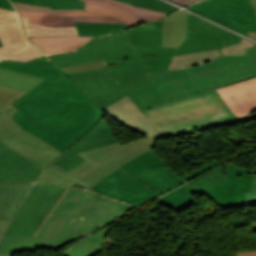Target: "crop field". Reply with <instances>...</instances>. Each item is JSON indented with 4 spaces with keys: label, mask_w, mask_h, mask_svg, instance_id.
<instances>
[{
    "label": "crop field",
    "mask_w": 256,
    "mask_h": 256,
    "mask_svg": "<svg viewBox=\"0 0 256 256\" xmlns=\"http://www.w3.org/2000/svg\"><path fill=\"white\" fill-rule=\"evenodd\" d=\"M0 68L45 78L12 105L15 122L64 152L102 118V111L47 57L0 61Z\"/></svg>",
    "instance_id": "8a807250"
},
{
    "label": "crop field",
    "mask_w": 256,
    "mask_h": 256,
    "mask_svg": "<svg viewBox=\"0 0 256 256\" xmlns=\"http://www.w3.org/2000/svg\"><path fill=\"white\" fill-rule=\"evenodd\" d=\"M183 183L185 181L149 150L119 167L91 189L138 206Z\"/></svg>",
    "instance_id": "ac0d7876"
},
{
    "label": "crop field",
    "mask_w": 256,
    "mask_h": 256,
    "mask_svg": "<svg viewBox=\"0 0 256 256\" xmlns=\"http://www.w3.org/2000/svg\"><path fill=\"white\" fill-rule=\"evenodd\" d=\"M144 114L165 137L225 125L235 117L216 90L145 111Z\"/></svg>",
    "instance_id": "34b2d1b8"
},
{
    "label": "crop field",
    "mask_w": 256,
    "mask_h": 256,
    "mask_svg": "<svg viewBox=\"0 0 256 256\" xmlns=\"http://www.w3.org/2000/svg\"><path fill=\"white\" fill-rule=\"evenodd\" d=\"M58 67L105 59L118 83L146 74L135 45L126 31L91 39L77 50L49 56Z\"/></svg>",
    "instance_id": "412701ff"
},
{
    "label": "crop field",
    "mask_w": 256,
    "mask_h": 256,
    "mask_svg": "<svg viewBox=\"0 0 256 256\" xmlns=\"http://www.w3.org/2000/svg\"><path fill=\"white\" fill-rule=\"evenodd\" d=\"M153 147L154 141L148 137L123 145L118 142L77 153L86 161L68 172L53 163L45 170L90 189L119 166Z\"/></svg>",
    "instance_id": "f4fd0767"
},
{
    "label": "crop field",
    "mask_w": 256,
    "mask_h": 256,
    "mask_svg": "<svg viewBox=\"0 0 256 256\" xmlns=\"http://www.w3.org/2000/svg\"><path fill=\"white\" fill-rule=\"evenodd\" d=\"M101 196L84 190L70 189L37 237L3 233L0 239V256H13V253L43 248Z\"/></svg>",
    "instance_id": "dd49c442"
},
{
    "label": "crop field",
    "mask_w": 256,
    "mask_h": 256,
    "mask_svg": "<svg viewBox=\"0 0 256 256\" xmlns=\"http://www.w3.org/2000/svg\"><path fill=\"white\" fill-rule=\"evenodd\" d=\"M181 73L196 94L256 77L247 55L222 56L213 63L182 70Z\"/></svg>",
    "instance_id": "e52e79f7"
},
{
    "label": "crop field",
    "mask_w": 256,
    "mask_h": 256,
    "mask_svg": "<svg viewBox=\"0 0 256 256\" xmlns=\"http://www.w3.org/2000/svg\"><path fill=\"white\" fill-rule=\"evenodd\" d=\"M66 75L75 82L87 98L101 109L152 83L146 74L118 85L109 67Z\"/></svg>",
    "instance_id": "d8731c3e"
},
{
    "label": "crop field",
    "mask_w": 256,
    "mask_h": 256,
    "mask_svg": "<svg viewBox=\"0 0 256 256\" xmlns=\"http://www.w3.org/2000/svg\"><path fill=\"white\" fill-rule=\"evenodd\" d=\"M64 189L34 183L5 232L32 236Z\"/></svg>",
    "instance_id": "5a996713"
},
{
    "label": "crop field",
    "mask_w": 256,
    "mask_h": 256,
    "mask_svg": "<svg viewBox=\"0 0 256 256\" xmlns=\"http://www.w3.org/2000/svg\"><path fill=\"white\" fill-rule=\"evenodd\" d=\"M133 208L135 207L103 196L55 239L47 244L45 248L55 250L65 244L73 242L93 232L98 227L127 213Z\"/></svg>",
    "instance_id": "3316defc"
},
{
    "label": "crop field",
    "mask_w": 256,
    "mask_h": 256,
    "mask_svg": "<svg viewBox=\"0 0 256 256\" xmlns=\"http://www.w3.org/2000/svg\"><path fill=\"white\" fill-rule=\"evenodd\" d=\"M16 111L17 108L0 113V140L41 168H46L61 152L21 130L12 119Z\"/></svg>",
    "instance_id": "28ad6ade"
},
{
    "label": "crop field",
    "mask_w": 256,
    "mask_h": 256,
    "mask_svg": "<svg viewBox=\"0 0 256 256\" xmlns=\"http://www.w3.org/2000/svg\"><path fill=\"white\" fill-rule=\"evenodd\" d=\"M186 9L246 36V31H256L255 8L249 0H205Z\"/></svg>",
    "instance_id": "d1516ede"
},
{
    "label": "crop field",
    "mask_w": 256,
    "mask_h": 256,
    "mask_svg": "<svg viewBox=\"0 0 256 256\" xmlns=\"http://www.w3.org/2000/svg\"><path fill=\"white\" fill-rule=\"evenodd\" d=\"M148 74L154 83L128 95L141 111L196 95L179 70Z\"/></svg>",
    "instance_id": "22f410ed"
},
{
    "label": "crop field",
    "mask_w": 256,
    "mask_h": 256,
    "mask_svg": "<svg viewBox=\"0 0 256 256\" xmlns=\"http://www.w3.org/2000/svg\"><path fill=\"white\" fill-rule=\"evenodd\" d=\"M0 59L30 60L44 56L23 31V24L16 12L0 9Z\"/></svg>",
    "instance_id": "cbeb9de0"
},
{
    "label": "crop field",
    "mask_w": 256,
    "mask_h": 256,
    "mask_svg": "<svg viewBox=\"0 0 256 256\" xmlns=\"http://www.w3.org/2000/svg\"><path fill=\"white\" fill-rule=\"evenodd\" d=\"M224 167L228 181L198 194L204 193L223 209L256 204V199L245 200L243 194L249 191L251 176L256 173V168L248 170L233 163H227Z\"/></svg>",
    "instance_id": "5142ce71"
},
{
    "label": "crop field",
    "mask_w": 256,
    "mask_h": 256,
    "mask_svg": "<svg viewBox=\"0 0 256 256\" xmlns=\"http://www.w3.org/2000/svg\"><path fill=\"white\" fill-rule=\"evenodd\" d=\"M136 46L147 72L167 70L173 55L215 49L220 50V48L224 47L221 37L187 38L177 50L170 47Z\"/></svg>",
    "instance_id": "d9b57169"
},
{
    "label": "crop field",
    "mask_w": 256,
    "mask_h": 256,
    "mask_svg": "<svg viewBox=\"0 0 256 256\" xmlns=\"http://www.w3.org/2000/svg\"><path fill=\"white\" fill-rule=\"evenodd\" d=\"M226 180V175L222 165L211 172L187 183L186 186H182L170 192L157 202L180 213L195 202L191 194L198 193Z\"/></svg>",
    "instance_id": "733c2abd"
},
{
    "label": "crop field",
    "mask_w": 256,
    "mask_h": 256,
    "mask_svg": "<svg viewBox=\"0 0 256 256\" xmlns=\"http://www.w3.org/2000/svg\"><path fill=\"white\" fill-rule=\"evenodd\" d=\"M118 140L110 130L105 118L96 124L74 145L68 148L59 159L55 162L56 165L65 170H70L81 162L85 161L76 153L90 148L117 142Z\"/></svg>",
    "instance_id": "4a817a6b"
},
{
    "label": "crop field",
    "mask_w": 256,
    "mask_h": 256,
    "mask_svg": "<svg viewBox=\"0 0 256 256\" xmlns=\"http://www.w3.org/2000/svg\"><path fill=\"white\" fill-rule=\"evenodd\" d=\"M85 9L110 14L124 22L128 27L155 20L167 14L160 11L133 7L115 0H84Z\"/></svg>",
    "instance_id": "bc2a9ffb"
},
{
    "label": "crop field",
    "mask_w": 256,
    "mask_h": 256,
    "mask_svg": "<svg viewBox=\"0 0 256 256\" xmlns=\"http://www.w3.org/2000/svg\"><path fill=\"white\" fill-rule=\"evenodd\" d=\"M42 170L0 141V181L33 182Z\"/></svg>",
    "instance_id": "214f88e0"
},
{
    "label": "crop field",
    "mask_w": 256,
    "mask_h": 256,
    "mask_svg": "<svg viewBox=\"0 0 256 256\" xmlns=\"http://www.w3.org/2000/svg\"><path fill=\"white\" fill-rule=\"evenodd\" d=\"M103 110H106L121 125L145 134L153 140L163 137L128 96Z\"/></svg>",
    "instance_id": "92a150f3"
},
{
    "label": "crop field",
    "mask_w": 256,
    "mask_h": 256,
    "mask_svg": "<svg viewBox=\"0 0 256 256\" xmlns=\"http://www.w3.org/2000/svg\"><path fill=\"white\" fill-rule=\"evenodd\" d=\"M20 17H29L30 22L52 27L75 26L74 21L95 23H122L116 18L90 11H74V13H45L18 11Z\"/></svg>",
    "instance_id": "dafd665d"
},
{
    "label": "crop field",
    "mask_w": 256,
    "mask_h": 256,
    "mask_svg": "<svg viewBox=\"0 0 256 256\" xmlns=\"http://www.w3.org/2000/svg\"><path fill=\"white\" fill-rule=\"evenodd\" d=\"M253 45L255 43L242 38L240 43L230 45L221 50L223 55H240L239 53L246 54L245 50ZM218 56H221L218 50L173 56L169 69L181 70L195 65L205 64L211 62L212 59Z\"/></svg>",
    "instance_id": "00972430"
},
{
    "label": "crop field",
    "mask_w": 256,
    "mask_h": 256,
    "mask_svg": "<svg viewBox=\"0 0 256 256\" xmlns=\"http://www.w3.org/2000/svg\"><path fill=\"white\" fill-rule=\"evenodd\" d=\"M30 186L31 184L0 183V219L10 220Z\"/></svg>",
    "instance_id": "a9b5d70f"
},
{
    "label": "crop field",
    "mask_w": 256,
    "mask_h": 256,
    "mask_svg": "<svg viewBox=\"0 0 256 256\" xmlns=\"http://www.w3.org/2000/svg\"><path fill=\"white\" fill-rule=\"evenodd\" d=\"M226 30V29H225ZM222 28L208 23L205 20L189 14L188 18V37L193 36H222L224 46L238 43L241 36L225 31Z\"/></svg>",
    "instance_id": "4177f3b9"
},
{
    "label": "crop field",
    "mask_w": 256,
    "mask_h": 256,
    "mask_svg": "<svg viewBox=\"0 0 256 256\" xmlns=\"http://www.w3.org/2000/svg\"><path fill=\"white\" fill-rule=\"evenodd\" d=\"M186 17L187 12L180 10L163 18V46L178 47L186 38Z\"/></svg>",
    "instance_id": "730fd06b"
},
{
    "label": "crop field",
    "mask_w": 256,
    "mask_h": 256,
    "mask_svg": "<svg viewBox=\"0 0 256 256\" xmlns=\"http://www.w3.org/2000/svg\"><path fill=\"white\" fill-rule=\"evenodd\" d=\"M126 31L131 44L162 46V18Z\"/></svg>",
    "instance_id": "eef30255"
},
{
    "label": "crop field",
    "mask_w": 256,
    "mask_h": 256,
    "mask_svg": "<svg viewBox=\"0 0 256 256\" xmlns=\"http://www.w3.org/2000/svg\"><path fill=\"white\" fill-rule=\"evenodd\" d=\"M119 222V221H118ZM116 222V223H118ZM113 223L89 237L77 242L70 249L61 253L64 256H94L103 251V239L107 232L116 224Z\"/></svg>",
    "instance_id": "ae1a2a85"
},
{
    "label": "crop field",
    "mask_w": 256,
    "mask_h": 256,
    "mask_svg": "<svg viewBox=\"0 0 256 256\" xmlns=\"http://www.w3.org/2000/svg\"><path fill=\"white\" fill-rule=\"evenodd\" d=\"M93 38L86 37H44V38H29L32 42L38 45L46 54L69 51L79 47L85 41Z\"/></svg>",
    "instance_id": "d3111659"
},
{
    "label": "crop field",
    "mask_w": 256,
    "mask_h": 256,
    "mask_svg": "<svg viewBox=\"0 0 256 256\" xmlns=\"http://www.w3.org/2000/svg\"><path fill=\"white\" fill-rule=\"evenodd\" d=\"M42 80L0 69V85L28 91Z\"/></svg>",
    "instance_id": "750c4746"
},
{
    "label": "crop field",
    "mask_w": 256,
    "mask_h": 256,
    "mask_svg": "<svg viewBox=\"0 0 256 256\" xmlns=\"http://www.w3.org/2000/svg\"><path fill=\"white\" fill-rule=\"evenodd\" d=\"M28 37L43 36H78L75 27L51 28L28 22V18H22Z\"/></svg>",
    "instance_id": "bd1437ed"
},
{
    "label": "crop field",
    "mask_w": 256,
    "mask_h": 256,
    "mask_svg": "<svg viewBox=\"0 0 256 256\" xmlns=\"http://www.w3.org/2000/svg\"><path fill=\"white\" fill-rule=\"evenodd\" d=\"M79 36L108 34L128 28L125 24H94L75 22Z\"/></svg>",
    "instance_id": "1d83c4d3"
},
{
    "label": "crop field",
    "mask_w": 256,
    "mask_h": 256,
    "mask_svg": "<svg viewBox=\"0 0 256 256\" xmlns=\"http://www.w3.org/2000/svg\"><path fill=\"white\" fill-rule=\"evenodd\" d=\"M217 91L224 101L254 93L256 92V78L250 79L243 83L217 89Z\"/></svg>",
    "instance_id": "120bbe31"
},
{
    "label": "crop field",
    "mask_w": 256,
    "mask_h": 256,
    "mask_svg": "<svg viewBox=\"0 0 256 256\" xmlns=\"http://www.w3.org/2000/svg\"><path fill=\"white\" fill-rule=\"evenodd\" d=\"M226 103L236 116L247 114L256 110V93L226 101Z\"/></svg>",
    "instance_id": "d32e631a"
},
{
    "label": "crop field",
    "mask_w": 256,
    "mask_h": 256,
    "mask_svg": "<svg viewBox=\"0 0 256 256\" xmlns=\"http://www.w3.org/2000/svg\"><path fill=\"white\" fill-rule=\"evenodd\" d=\"M13 1L51 6V9H60V8L83 9L85 4V2L79 1V0H13Z\"/></svg>",
    "instance_id": "5866460e"
},
{
    "label": "crop field",
    "mask_w": 256,
    "mask_h": 256,
    "mask_svg": "<svg viewBox=\"0 0 256 256\" xmlns=\"http://www.w3.org/2000/svg\"><path fill=\"white\" fill-rule=\"evenodd\" d=\"M24 93L25 91L0 86V112L15 108L11 104Z\"/></svg>",
    "instance_id": "028f5c9d"
},
{
    "label": "crop field",
    "mask_w": 256,
    "mask_h": 256,
    "mask_svg": "<svg viewBox=\"0 0 256 256\" xmlns=\"http://www.w3.org/2000/svg\"><path fill=\"white\" fill-rule=\"evenodd\" d=\"M119 1L131 3L137 7L160 10L165 13H171V12L178 10V8L173 7L167 3L159 1V0H119Z\"/></svg>",
    "instance_id": "e1f06a70"
},
{
    "label": "crop field",
    "mask_w": 256,
    "mask_h": 256,
    "mask_svg": "<svg viewBox=\"0 0 256 256\" xmlns=\"http://www.w3.org/2000/svg\"><path fill=\"white\" fill-rule=\"evenodd\" d=\"M38 183L48 184V185H54V186H60V187H72L74 183L67 181L65 179H62L58 176H55L47 171H43L41 175L38 177V180H36Z\"/></svg>",
    "instance_id": "0bd39190"
},
{
    "label": "crop field",
    "mask_w": 256,
    "mask_h": 256,
    "mask_svg": "<svg viewBox=\"0 0 256 256\" xmlns=\"http://www.w3.org/2000/svg\"><path fill=\"white\" fill-rule=\"evenodd\" d=\"M12 3L16 10H24V11L73 12V10H80V9L50 10V7L24 4V3H16V2H12Z\"/></svg>",
    "instance_id": "b80d0937"
},
{
    "label": "crop field",
    "mask_w": 256,
    "mask_h": 256,
    "mask_svg": "<svg viewBox=\"0 0 256 256\" xmlns=\"http://www.w3.org/2000/svg\"><path fill=\"white\" fill-rule=\"evenodd\" d=\"M107 66L108 64L105 62V60H102V61L82 64L77 66L63 67L60 69L63 70L65 73H69V72L84 71V70L96 69V68L107 67Z\"/></svg>",
    "instance_id": "c035e120"
},
{
    "label": "crop field",
    "mask_w": 256,
    "mask_h": 256,
    "mask_svg": "<svg viewBox=\"0 0 256 256\" xmlns=\"http://www.w3.org/2000/svg\"><path fill=\"white\" fill-rule=\"evenodd\" d=\"M220 164H222V163L221 162H217V161L211 162V163H209V164H207V165H205V166H203L201 168L195 169V170H193V171L183 175L182 178H184L187 181H189L192 178H194V177H196V176H198V175H200V174H202V173H204L206 171H209L212 168H214V167H216V166H218Z\"/></svg>",
    "instance_id": "c21b1889"
},
{
    "label": "crop field",
    "mask_w": 256,
    "mask_h": 256,
    "mask_svg": "<svg viewBox=\"0 0 256 256\" xmlns=\"http://www.w3.org/2000/svg\"><path fill=\"white\" fill-rule=\"evenodd\" d=\"M69 188H66L62 195L60 196V198L58 199V201L55 203V205L52 207V209L49 211V213L47 214V216L44 218V220L42 221V223L39 225L37 231L35 232L34 236H37V234L39 233V231L41 230V228L43 227V225L45 224V222L47 221V219L49 218V216L51 215V213L53 212V210L56 208V206L59 204V202L62 200V198L65 196V194L68 192ZM33 236V235H32Z\"/></svg>",
    "instance_id": "03da06ac"
},
{
    "label": "crop field",
    "mask_w": 256,
    "mask_h": 256,
    "mask_svg": "<svg viewBox=\"0 0 256 256\" xmlns=\"http://www.w3.org/2000/svg\"><path fill=\"white\" fill-rule=\"evenodd\" d=\"M256 118V113H251V114H247L244 116H240V117H235L229 120H226L227 124H231V123H235V122H239V121H245V120H251V119H255Z\"/></svg>",
    "instance_id": "b54c1fbb"
},
{
    "label": "crop field",
    "mask_w": 256,
    "mask_h": 256,
    "mask_svg": "<svg viewBox=\"0 0 256 256\" xmlns=\"http://www.w3.org/2000/svg\"><path fill=\"white\" fill-rule=\"evenodd\" d=\"M244 194L247 199L256 198V174H253L250 192Z\"/></svg>",
    "instance_id": "5d738f31"
},
{
    "label": "crop field",
    "mask_w": 256,
    "mask_h": 256,
    "mask_svg": "<svg viewBox=\"0 0 256 256\" xmlns=\"http://www.w3.org/2000/svg\"><path fill=\"white\" fill-rule=\"evenodd\" d=\"M246 52L250 60L252 61L254 67L256 68V45L246 50Z\"/></svg>",
    "instance_id": "d23c7cc5"
},
{
    "label": "crop field",
    "mask_w": 256,
    "mask_h": 256,
    "mask_svg": "<svg viewBox=\"0 0 256 256\" xmlns=\"http://www.w3.org/2000/svg\"><path fill=\"white\" fill-rule=\"evenodd\" d=\"M0 8H5V9H9V10H13V7L11 5V3L9 2V0H0Z\"/></svg>",
    "instance_id": "425ffa30"
},
{
    "label": "crop field",
    "mask_w": 256,
    "mask_h": 256,
    "mask_svg": "<svg viewBox=\"0 0 256 256\" xmlns=\"http://www.w3.org/2000/svg\"><path fill=\"white\" fill-rule=\"evenodd\" d=\"M171 1L181 5L183 7H185V6L189 5V4L197 2L199 0H171ZM186 1H188L189 4H187Z\"/></svg>",
    "instance_id": "25e5ab78"
},
{
    "label": "crop field",
    "mask_w": 256,
    "mask_h": 256,
    "mask_svg": "<svg viewBox=\"0 0 256 256\" xmlns=\"http://www.w3.org/2000/svg\"><path fill=\"white\" fill-rule=\"evenodd\" d=\"M232 256H256V251L241 252V253H237L236 255H232Z\"/></svg>",
    "instance_id": "73cf0c24"
},
{
    "label": "crop field",
    "mask_w": 256,
    "mask_h": 256,
    "mask_svg": "<svg viewBox=\"0 0 256 256\" xmlns=\"http://www.w3.org/2000/svg\"><path fill=\"white\" fill-rule=\"evenodd\" d=\"M8 221H5V220H0V234L1 232L4 230L6 224H7Z\"/></svg>",
    "instance_id": "89e229c0"
},
{
    "label": "crop field",
    "mask_w": 256,
    "mask_h": 256,
    "mask_svg": "<svg viewBox=\"0 0 256 256\" xmlns=\"http://www.w3.org/2000/svg\"><path fill=\"white\" fill-rule=\"evenodd\" d=\"M256 8V6H255ZM248 33V36L252 39H255L256 40V32H247Z\"/></svg>",
    "instance_id": "1f2cbd36"
},
{
    "label": "crop field",
    "mask_w": 256,
    "mask_h": 256,
    "mask_svg": "<svg viewBox=\"0 0 256 256\" xmlns=\"http://www.w3.org/2000/svg\"><path fill=\"white\" fill-rule=\"evenodd\" d=\"M256 230V222L251 223V231Z\"/></svg>",
    "instance_id": "dbb93151"
},
{
    "label": "crop field",
    "mask_w": 256,
    "mask_h": 256,
    "mask_svg": "<svg viewBox=\"0 0 256 256\" xmlns=\"http://www.w3.org/2000/svg\"><path fill=\"white\" fill-rule=\"evenodd\" d=\"M251 1V5H256V0H250Z\"/></svg>",
    "instance_id": "0fb4a251"
},
{
    "label": "crop field",
    "mask_w": 256,
    "mask_h": 256,
    "mask_svg": "<svg viewBox=\"0 0 256 256\" xmlns=\"http://www.w3.org/2000/svg\"><path fill=\"white\" fill-rule=\"evenodd\" d=\"M0 46H2L1 43H0Z\"/></svg>",
    "instance_id": "1d79db26"
},
{
    "label": "crop field",
    "mask_w": 256,
    "mask_h": 256,
    "mask_svg": "<svg viewBox=\"0 0 256 256\" xmlns=\"http://www.w3.org/2000/svg\"><path fill=\"white\" fill-rule=\"evenodd\" d=\"M254 163H256V161Z\"/></svg>",
    "instance_id": "9d1cf04e"
}]
</instances>
